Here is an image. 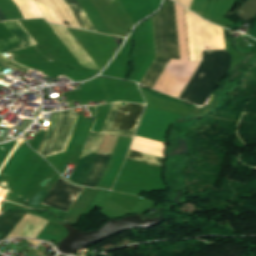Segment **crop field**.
Segmentation results:
<instances>
[{"label":"crop field","instance_id":"1","mask_svg":"<svg viewBox=\"0 0 256 256\" xmlns=\"http://www.w3.org/2000/svg\"><path fill=\"white\" fill-rule=\"evenodd\" d=\"M153 23L157 58L141 81L149 88H153L171 58L180 59L174 2L166 0Z\"/></svg>","mask_w":256,"mask_h":256},{"label":"crop field","instance_id":"2","mask_svg":"<svg viewBox=\"0 0 256 256\" xmlns=\"http://www.w3.org/2000/svg\"><path fill=\"white\" fill-rule=\"evenodd\" d=\"M231 56L227 51H203V63L180 99L205 104L220 80L226 76Z\"/></svg>","mask_w":256,"mask_h":256},{"label":"crop field","instance_id":"3","mask_svg":"<svg viewBox=\"0 0 256 256\" xmlns=\"http://www.w3.org/2000/svg\"><path fill=\"white\" fill-rule=\"evenodd\" d=\"M175 7L181 60L171 59L154 89L179 97L199 62L189 61L184 8Z\"/></svg>","mask_w":256,"mask_h":256},{"label":"crop field","instance_id":"4","mask_svg":"<svg viewBox=\"0 0 256 256\" xmlns=\"http://www.w3.org/2000/svg\"><path fill=\"white\" fill-rule=\"evenodd\" d=\"M73 112L74 109L52 113L47 135L38 151L44 158L66 150L76 125L77 116L73 117Z\"/></svg>","mask_w":256,"mask_h":256},{"label":"crop field","instance_id":"5","mask_svg":"<svg viewBox=\"0 0 256 256\" xmlns=\"http://www.w3.org/2000/svg\"><path fill=\"white\" fill-rule=\"evenodd\" d=\"M120 105L121 103H114L112 105L111 110L108 114V117L106 119V122L101 132L133 136L135 132H131V131L136 130L145 105L129 104V103H122L121 107ZM119 107H120V110H119ZM117 112H118V115H117ZM115 117H116V120H115ZM113 122H114V125H113ZM111 127L115 129H123V130H131V131L115 130V129H111Z\"/></svg>","mask_w":256,"mask_h":256},{"label":"crop field","instance_id":"6","mask_svg":"<svg viewBox=\"0 0 256 256\" xmlns=\"http://www.w3.org/2000/svg\"><path fill=\"white\" fill-rule=\"evenodd\" d=\"M4 24L15 37L0 41V62L26 73L28 68L8 60L1 53L22 49L37 43L19 21H6Z\"/></svg>","mask_w":256,"mask_h":256},{"label":"crop field","instance_id":"7","mask_svg":"<svg viewBox=\"0 0 256 256\" xmlns=\"http://www.w3.org/2000/svg\"><path fill=\"white\" fill-rule=\"evenodd\" d=\"M103 136L101 134H89L77 167L68 181L82 185L93 165Z\"/></svg>","mask_w":256,"mask_h":256},{"label":"crop field","instance_id":"8","mask_svg":"<svg viewBox=\"0 0 256 256\" xmlns=\"http://www.w3.org/2000/svg\"><path fill=\"white\" fill-rule=\"evenodd\" d=\"M82 190L83 188L75 187L60 177L43 205L68 212Z\"/></svg>","mask_w":256,"mask_h":256},{"label":"crop field","instance_id":"9","mask_svg":"<svg viewBox=\"0 0 256 256\" xmlns=\"http://www.w3.org/2000/svg\"><path fill=\"white\" fill-rule=\"evenodd\" d=\"M43 12L47 21L64 25L63 21H68L70 26L79 27L71 11L63 0H35Z\"/></svg>","mask_w":256,"mask_h":256},{"label":"crop field","instance_id":"10","mask_svg":"<svg viewBox=\"0 0 256 256\" xmlns=\"http://www.w3.org/2000/svg\"><path fill=\"white\" fill-rule=\"evenodd\" d=\"M50 25V24H49ZM83 67L101 71L67 28L50 25Z\"/></svg>","mask_w":256,"mask_h":256},{"label":"crop field","instance_id":"11","mask_svg":"<svg viewBox=\"0 0 256 256\" xmlns=\"http://www.w3.org/2000/svg\"><path fill=\"white\" fill-rule=\"evenodd\" d=\"M112 154L97 155L95 163L83 185L97 187L102 178Z\"/></svg>","mask_w":256,"mask_h":256},{"label":"crop field","instance_id":"12","mask_svg":"<svg viewBox=\"0 0 256 256\" xmlns=\"http://www.w3.org/2000/svg\"><path fill=\"white\" fill-rule=\"evenodd\" d=\"M165 145V143L136 136L131 149L164 158Z\"/></svg>","mask_w":256,"mask_h":256},{"label":"crop field","instance_id":"13","mask_svg":"<svg viewBox=\"0 0 256 256\" xmlns=\"http://www.w3.org/2000/svg\"><path fill=\"white\" fill-rule=\"evenodd\" d=\"M27 211L28 210L18 209L0 218V234H3L0 238V241L6 239V237L11 233V231L27 213ZM19 212L20 214L23 213V215L20 216L19 214L18 217L15 218Z\"/></svg>","mask_w":256,"mask_h":256},{"label":"crop field","instance_id":"14","mask_svg":"<svg viewBox=\"0 0 256 256\" xmlns=\"http://www.w3.org/2000/svg\"><path fill=\"white\" fill-rule=\"evenodd\" d=\"M64 1L67 3L68 7L72 11L73 15L75 16L76 20L80 24L81 28L95 31L94 27L90 23L89 19L85 15L84 11L80 7L77 0H64Z\"/></svg>","mask_w":256,"mask_h":256},{"label":"crop field","instance_id":"15","mask_svg":"<svg viewBox=\"0 0 256 256\" xmlns=\"http://www.w3.org/2000/svg\"><path fill=\"white\" fill-rule=\"evenodd\" d=\"M25 18L43 17L34 0H14Z\"/></svg>","mask_w":256,"mask_h":256},{"label":"crop field","instance_id":"16","mask_svg":"<svg viewBox=\"0 0 256 256\" xmlns=\"http://www.w3.org/2000/svg\"><path fill=\"white\" fill-rule=\"evenodd\" d=\"M127 158L161 166V167L163 166L165 161V159L163 158H159V157H155V156H151V155H147V154H143V153H139L131 150L129 151Z\"/></svg>","mask_w":256,"mask_h":256},{"label":"crop field","instance_id":"17","mask_svg":"<svg viewBox=\"0 0 256 256\" xmlns=\"http://www.w3.org/2000/svg\"><path fill=\"white\" fill-rule=\"evenodd\" d=\"M177 2L185 5L186 7L190 8V5L192 3V0H176Z\"/></svg>","mask_w":256,"mask_h":256},{"label":"crop field","instance_id":"18","mask_svg":"<svg viewBox=\"0 0 256 256\" xmlns=\"http://www.w3.org/2000/svg\"><path fill=\"white\" fill-rule=\"evenodd\" d=\"M250 34H251V36L256 38V26L254 28L250 29Z\"/></svg>","mask_w":256,"mask_h":256},{"label":"crop field","instance_id":"19","mask_svg":"<svg viewBox=\"0 0 256 256\" xmlns=\"http://www.w3.org/2000/svg\"><path fill=\"white\" fill-rule=\"evenodd\" d=\"M4 20H6V19H5L4 15L2 14L1 10H0V22L4 21Z\"/></svg>","mask_w":256,"mask_h":256},{"label":"crop field","instance_id":"20","mask_svg":"<svg viewBox=\"0 0 256 256\" xmlns=\"http://www.w3.org/2000/svg\"><path fill=\"white\" fill-rule=\"evenodd\" d=\"M109 2L113 1V0H108Z\"/></svg>","mask_w":256,"mask_h":256}]
</instances>
